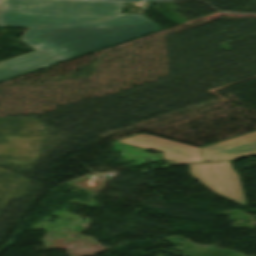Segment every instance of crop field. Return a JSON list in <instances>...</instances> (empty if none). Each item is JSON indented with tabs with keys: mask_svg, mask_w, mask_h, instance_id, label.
Returning a JSON list of instances; mask_svg holds the SVG:
<instances>
[{
	"mask_svg": "<svg viewBox=\"0 0 256 256\" xmlns=\"http://www.w3.org/2000/svg\"><path fill=\"white\" fill-rule=\"evenodd\" d=\"M133 3L2 0L0 25L29 27L19 40L36 51L1 62L0 81L163 30L143 16L153 1Z\"/></svg>",
	"mask_w": 256,
	"mask_h": 256,
	"instance_id": "8a807250",
	"label": "crop field"
},
{
	"mask_svg": "<svg viewBox=\"0 0 256 256\" xmlns=\"http://www.w3.org/2000/svg\"><path fill=\"white\" fill-rule=\"evenodd\" d=\"M187 166L191 177L209 191L245 206L238 175L233 173L230 162L191 164Z\"/></svg>",
	"mask_w": 256,
	"mask_h": 256,
	"instance_id": "ac0d7876",
	"label": "crop field"
},
{
	"mask_svg": "<svg viewBox=\"0 0 256 256\" xmlns=\"http://www.w3.org/2000/svg\"><path fill=\"white\" fill-rule=\"evenodd\" d=\"M205 161L256 155V131L202 148Z\"/></svg>",
	"mask_w": 256,
	"mask_h": 256,
	"instance_id": "412701ff",
	"label": "crop field"
},
{
	"mask_svg": "<svg viewBox=\"0 0 256 256\" xmlns=\"http://www.w3.org/2000/svg\"><path fill=\"white\" fill-rule=\"evenodd\" d=\"M1 1V0H0Z\"/></svg>",
	"mask_w": 256,
	"mask_h": 256,
	"instance_id": "f4fd0767",
	"label": "crop field"
},
{
	"mask_svg": "<svg viewBox=\"0 0 256 256\" xmlns=\"http://www.w3.org/2000/svg\"><path fill=\"white\" fill-rule=\"evenodd\" d=\"M117 142L163 152L164 161L172 164L204 161L199 147L145 133H138Z\"/></svg>",
	"mask_w": 256,
	"mask_h": 256,
	"instance_id": "34b2d1b8",
	"label": "crop field"
}]
</instances>
